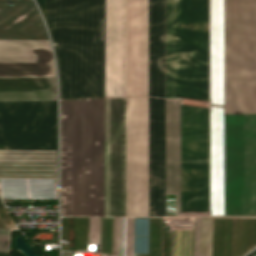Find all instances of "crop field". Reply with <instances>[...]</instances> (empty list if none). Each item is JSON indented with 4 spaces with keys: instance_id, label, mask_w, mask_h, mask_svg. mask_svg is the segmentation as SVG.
Returning a JSON list of instances; mask_svg holds the SVG:
<instances>
[{
    "instance_id": "crop-field-16",
    "label": "crop field",
    "mask_w": 256,
    "mask_h": 256,
    "mask_svg": "<svg viewBox=\"0 0 256 256\" xmlns=\"http://www.w3.org/2000/svg\"><path fill=\"white\" fill-rule=\"evenodd\" d=\"M149 96L164 98V0H149Z\"/></svg>"
},
{
    "instance_id": "crop-field-23",
    "label": "crop field",
    "mask_w": 256,
    "mask_h": 256,
    "mask_svg": "<svg viewBox=\"0 0 256 256\" xmlns=\"http://www.w3.org/2000/svg\"><path fill=\"white\" fill-rule=\"evenodd\" d=\"M120 218H114L113 256H118Z\"/></svg>"
},
{
    "instance_id": "crop-field-19",
    "label": "crop field",
    "mask_w": 256,
    "mask_h": 256,
    "mask_svg": "<svg viewBox=\"0 0 256 256\" xmlns=\"http://www.w3.org/2000/svg\"><path fill=\"white\" fill-rule=\"evenodd\" d=\"M113 218H102L101 253L112 255Z\"/></svg>"
},
{
    "instance_id": "crop-field-5",
    "label": "crop field",
    "mask_w": 256,
    "mask_h": 256,
    "mask_svg": "<svg viewBox=\"0 0 256 256\" xmlns=\"http://www.w3.org/2000/svg\"><path fill=\"white\" fill-rule=\"evenodd\" d=\"M0 41H49L31 0H0ZM0 73H55L50 43L0 42ZM1 100H56V76L0 74Z\"/></svg>"
},
{
    "instance_id": "crop-field-22",
    "label": "crop field",
    "mask_w": 256,
    "mask_h": 256,
    "mask_svg": "<svg viewBox=\"0 0 256 256\" xmlns=\"http://www.w3.org/2000/svg\"><path fill=\"white\" fill-rule=\"evenodd\" d=\"M1 203V201H0ZM9 231L10 229L0 228V252L8 253L9 250ZM0 253V256H7L8 254Z\"/></svg>"
},
{
    "instance_id": "crop-field-15",
    "label": "crop field",
    "mask_w": 256,
    "mask_h": 256,
    "mask_svg": "<svg viewBox=\"0 0 256 256\" xmlns=\"http://www.w3.org/2000/svg\"><path fill=\"white\" fill-rule=\"evenodd\" d=\"M210 104L224 106V0H210Z\"/></svg>"
},
{
    "instance_id": "crop-field-10",
    "label": "crop field",
    "mask_w": 256,
    "mask_h": 256,
    "mask_svg": "<svg viewBox=\"0 0 256 256\" xmlns=\"http://www.w3.org/2000/svg\"><path fill=\"white\" fill-rule=\"evenodd\" d=\"M148 96V0H126V96Z\"/></svg>"
},
{
    "instance_id": "crop-field-17",
    "label": "crop field",
    "mask_w": 256,
    "mask_h": 256,
    "mask_svg": "<svg viewBox=\"0 0 256 256\" xmlns=\"http://www.w3.org/2000/svg\"><path fill=\"white\" fill-rule=\"evenodd\" d=\"M194 230H175L174 256H193Z\"/></svg>"
},
{
    "instance_id": "crop-field-21",
    "label": "crop field",
    "mask_w": 256,
    "mask_h": 256,
    "mask_svg": "<svg viewBox=\"0 0 256 256\" xmlns=\"http://www.w3.org/2000/svg\"><path fill=\"white\" fill-rule=\"evenodd\" d=\"M129 218H121L119 256H128Z\"/></svg>"
},
{
    "instance_id": "crop-field-13",
    "label": "crop field",
    "mask_w": 256,
    "mask_h": 256,
    "mask_svg": "<svg viewBox=\"0 0 256 256\" xmlns=\"http://www.w3.org/2000/svg\"><path fill=\"white\" fill-rule=\"evenodd\" d=\"M238 227H239V218H236V238H235V218H233V239H232V218H226V230H225V218H214V228H213V218H210V233H209V218H207L205 256H208V233H209V256H211L212 228H213L212 256L224 255V230H225V255L224 256H231V239H232V256H234V238H235V256H237ZM241 227H242V218H240L238 256H240ZM205 228H206V218H205ZM200 229H201V226H200ZM203 229H204V218H202L200 256H202V251H203ZM244 235H245V218H243L241 254L244 253ZM255 245H256V218H246L245 252L251 249L252 247H254ZM204 250H205V229H204ZM199 252H200V244H199ZM203 256H204V252H203Z\"/></svg>"
},
{
    "instance_id": "crop-field-2",
    "label": "crop field",
    "mask_w": 256,
    "mask_h": 256,
    "mask_svg": "<svg viewBox=\"0 0 256 256\" xmlns=\"http://www.w3.org/2000/svg\"><path fill=\"white\" fill-rule=\"evenodd\" d=\"M0 150L57 151L56 101L0 102ZM0 175H57V152L0 151ZM5 177V198H56L55 176Z\"/></svg>"
},
{
    "instance_id": "crop-field-6",
    "label": "crop field",
    "mask_w": 256,
    "mask_h": 256,
    "mask_svg": "<svg viewBox=\"0 0 256 256\" xmlns=\"http://www.w3.org/2000/svg\"><path fill=\"white\" fill-rule=\"evenodd\" d=\"M166 199H180V102L166 100ZM181 213H208V110L181 106Z\"/></svg>"
},
{
    "instance_id": "crop-field-1",
    "label": "crop field",
    "mask_w": 256,
    "mask_h": 256,
    "mask_svg": "<svg viewBox=\"0 0 256 256\" xmlns=\"http://www.w3.org/2000/svg\"><path fill=\"white\" fill-rule=\"evenodd\" d=\"M256 113V0H225V114ZM225 216H256V114L225 115Z\"/></svg>"
},
{
    "instance_id": "crop-field-11",
    "label": "crop field",
    "mask_w": 256,
    "mask_h": 256,
    "mask_svg": "<svg viewBox=\"0 0 256 256\" xmlns=\"http://www.w3.org/2000/svg\"><path fill=\"white\" fill-rule=\"evenodd\" d=\"M125 96V0H105V97Z\"/></svg>"
},
{
    "instance_id": "crop-field-24",
    "label": "crop field",
    "mask_w": 256,
    "mask_h": 256,
    "mask_svg": "<svg viewBox=\"0 0 256 256\" xmlns=\"http://www.w3.org/2000/svg\"><path fill=\"white\" fill-rule=\"evenodd\" d=\"M200 218H196L194 256H198Z\"/></svg>"
},
{
    "instance_id": "crop-field-9",
    "label": "crop field",
    "mask_w": 256,
    "mask_h": 256,
    "mask_svg": "<svg viewBox=\"0 0 256 256\" xmlns=\"http://www.w3.org/2000/svg\"><path fill=\"white\" fill-rule=\"evenodd\" d=\"M105 216H126L125 98L105 99Z\"/></svg>"
},
{
    "instance_id": "crop-field-7",
    "label": "crop field",
    "mask_w": 256,
    "mask_h": 256,
    "mask_svg": "<svg viewBox=\"0 0 256 256\" xmlns=\"http://www.w3.org/2000/svg\"><path fill=\"white\" fill-rule=\"evenodd\" d=\"M166 94L208 100V0H165Z\"/></svg>"
},
{
    "instance_id": "crop-field-4",
    "label": "crop field",
    "mask_w": 256,
    "mask_h": 256,
    "mask_svg": "<svg viewBox=\"0 0 256 256\" xmlns=\"http://www.w3.org/2000/svg\"><path fill=\"white\" fill-rule=\"evenodd\" d=\"M61 99L104 97V0H45Z\"/></svg>"
},
{
    "instance_id": "crop-field-14",
    "label": "crop field",
    "mask_w": 256,
    "mask_h": 256,
    "mask_svg": "<svg viewBox=\"0 0 256 256\" xmlns=\"http://www.w3.org/2000/svg\"><path fill=\"white\" fill-rule=\"evenodd\" d=\"M210 216H224V108L211 105Z\"/></svg>"
},
{
    "instance_id": "crop-field-8",
    "label": "crop field",
    "mask_w": 256,
    "mask_h": 256,
    "mask_svg": "<svg viewBox=\"0 0 256 256\" xmlns=\"http://www.w3.org/2000/svg\"><path fill=\"white\" fill-rule=\"evenodd\" d=\"M127 216H148V97L126 98Z\"/></svg>"
},
{
    "instance_id": "crop-field-12",
    "label": "crop field",
    "mask_w": 256,
    "mask_h": 256,
    "mask_svg": "<svg viewBox=\"0 0 256 256\" xmlns=\"http://www.w3.org/2000/svg\"><path fill=\"white\" fill-rule=\"evenodd\" d=\"M149 216H164V99L149 97Z\"/></svg>"
},
{
    "instance_id": "crop-field-20",
    "label": "crop field",
    "mask_w": 256,
    "mask_h": 256,
    "mask_svg": "<svg viewBox=\"0 0 256 256\" xmlns=\"http://www.w3.org/2000/svg\"><path fill=\"white\" fill-rule=\"evenodd\" d=\"M150 226H152V244H155V238H159V226H161V218H150ZM149 256H161V227H160V239H156V245H151V227H150Z\"/></svg>"
},
{
    "instance_id": "crop-field-3",
    "label": "crop field",
    "mask_w": 256,
    "mask_h": 256,
    "mask_svg": "<svg viewBox=\"0 0 256 256\" xmlns=\"http://www.w3.org/2000/svg\"><path fill=\"white\" fill-rule=\"evenodd\" d=\"M62 216H104V98L61 101Z\"/></svg>"
},
{
    "instance_id": "crop-field-25",
    "label": "crop field",
    "mask_w": 256,
    "mask_h": 256,
    "mask_svg": "<svg viewBox=\"0 0 256 256\" xmlns=\"http://www.w3.org/2000/svg\"><path fill=\"white\" fill-rule=\"evenodd\" d=\"M131 226H132V218H130L129 256H131Z\"/></svg>"
},
{
    "instance_id": "crop-field-18",
    "label": "crop field",
    "mask_w": 256,
    "mask_h": 256,
    "mask_svg": "<svg viewBox=\"0 0 256 256\" xmlns=\"http://www.w3.org/2000/svg\"><path fill=\"white\" fill-rule=\"evenodd\" d=\"M135 235H148V219H135ZM135 252H148V237L135 236Z\"/></svg>"
}]
</instances>
